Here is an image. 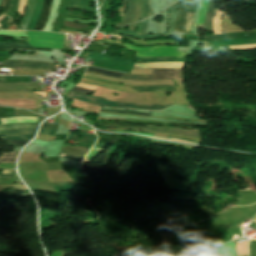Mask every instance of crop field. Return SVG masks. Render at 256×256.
I'll return each mask as SVG.
<instances>
[{
    "label": "crop field",
    "instance_id": "8a807250",
    "mask_svg": "<svg viewBox=\"0 0 256 256\" xmlns=\"http://www.w3.org/2000/svg\"><path fill=\"white\" fill-rule=\"evenodd\" d=\"M69 97L76 98L82 101H86L93 104H99L106 107H119V108H133V109H149V110H161L170 105H148V104H131V103H114L102 100L100 98L80 95L70 92Z\"/></svg>",
    "mask_w": 256,
    "mask_h": 256
},
{
    "label": "crop field",
    "instance_id": "ac0d7876",
    "mask_svg": "<svg viewBox=\"0 0 256 256\" xmlns=\"http://www.w3.org/2000/svg\"><path fill=\"white\" fill-rule=\"evenodd\" d=\"M29 38H40L47 40H54L63 42L64 36L56 33H46V32H26ZM47 40H39V39H29L28 42L31 46L35 47H43V48H60L62 49L63 43L53 42Z\"/></svg>",
    "mask_w": 256,
    "mask_h": 256
},
{
    "label": "crop field",
    "instance_id": "34b2d1b8",
    "mask_svg": "<svg viewBox=\"0 0 256 256\" xmlns=\"http://www.w3.org/2000/svg\"><path fill=\"white\" fill-rule=\"evenodd\" d=\"M50 5H51V0H44V6H43V0H36L35 1V7H34V11L30 20V24L28 27V30H33L40 15L42 12V6H43V12H42V16L35 28V30H41L45 20L49 14V10H50Z\"/></svg>",
    "mask_w": 256,
    "mask_h": 256
},
{
    "label": "crop field",
    "instance_id": "412701ff",
    "mask_svg": "<svg viewBox=\"0 0 256 256\" xmlns=\"http://www.w3.org/2000/svg\"><path fill=\"white\" fill-rule=\"evenodd\" d=\"M5 67H30L51 70L54 69L55 64L42 62H25V61H7Z\"/></svg>",
    "mask_w": 256,
    "mask_h": 256
},
{
    "label": "crop field",
    "instance_id": "f4fd0767",
    "mask_svg": "<svg viewBox=\"0 0 256 256\" xmlns=\"http://www.w3.org/2000/svg\"><path fill=\"white\" fill-rule=\"evenodd\" d=\"M148 20H149V18L142 21V22H139L136 33H133V32H130V31H124V30H117L115 33L127 34L129 36L140 38V39H152V38H157V37L163 36L162 34L144 35L145 34V28H146V25L148 23Z\"/></svg>",
    "mask_w": 256,
    "mask_h": 256
},
{
    "label": "crop field",
    "instance_id": "dd49c442",
    "mask_svg": "<svg viewBox=\"0 0 256 256\" xmlns=\"http://www.w3.org/2000/svg\"><path fill=\"white\" fill-rule=\"evenodd\" d=\"M90 72H96V73H101L107 76H113V77H122V73L119 72H113V71H107L103 69H98V68H92L90 67L89 70ZM122 79H136V80H146V79H151V75H127L124 74Z\"/></svg>",
    "mask_w": 256,
    "mask_h": 256
},
{
    "label": "crop field",
    "instance_id": "e52e79f7",
    "mask_svg": "<svg viewBox=\"0 0 256 256\" xmlns=\"http://www.w3.org/2000/svg\"><path fill=\"white\" fill-rule=\"evenodd\" d=\"M89 58L133 67V61H131V60H125V59H121V58L105 56V55L94 53V52L90 53Z\"/></svg>",
    "mask_w": 256,
    "mask_h": 256
},
{
    "label": "crop field",
    "instance_id": "d8731c3e",
    "mask_svg": "<svg viewBox=\"0 0 256 256\" xmlns=\"http://www.w3.org/2000/svg\"><path fill=\"white\" fill-rule=\"evenodd\" d=\"M180 69H152V79L179 78Z\"/></svg>",
    "mask_w": 256,
    "mask_h": 256
},
{
    "label": "crop field",
    "instance_id": "5a996713",
    "mask_svg": "<svg viewBox=\"0 0 256 256\" xmlns=\"http://www.w3.org/2000/svg\"><path fill=\"white\" fill-rule=\"evenodd\" d=\"M176 5L178 7V15L176 20L175 33H183V21L185 15V6L183 0H179Z\"/></svg>",
    "mask_w": 256,
    "mask_h": 256
},
{
    "label": "crop field",
    "instance_id": "3316defc",
    "mask_svg": "<svg viewBox=\"0 0 256 256\" xmlns=\"http://www.w3.org/2000/svg\"><path fill=\"white\" fill-rule=\"evenodd\" d=\"M88 148L81 147V146H71V147H63L62 153H67L70 155L82 156L84 157L85 154L88 152Z\"/></svg>",
    "mask_w": 256,
    "mask_h": 256
},
{
    "label": "crop field",
    "instance_id": "28ad6ade",
    "mask_svg": "<svg viewBox=\"0 0 256 256\" xmlns=\"http://www.w3.org/2000/svg\"><path fill=\"white\" fill-rule=\"evenodd\" d=\"M186 58L177 57H156V58H136L135 61L139 62H166V61H179L185 62Z\"/></svg>",
    "mask_w": 256,
    "mask_h": 256
},
{
    "label": "crop field",
    "instance_id": "d1516ede",
    "mask_svg": "<svg viewBox=\"0 0 256 256\" xmlns=\"http://www.w3.org/2000/svg\"><path fill=\"white\" fill-rule=\"evenodd\" d=\"M215 11V0H209V9L207 12L204 29L213 30L212 19Z\"/></svg>",
    "mask_w": 256,
    "mask_h": 256
},
{
    "label": "crop field",
    "instance_id": "22f410ed",
    "mask_svg": "<svg viewBox=\"0 0 256 256\" xmlns=\"http://www.w3.org/2000/svg\"><path fill=\"white\" fill-rule=\"evenodd\" d=\"M184 63L178 62H166V63H151V64H141L135 63V65H141L140 68L146 67H170V68H182Z\"/></svg>",
    "mask_w": 256,
    "mask_h": 256
},
{
    "label": "crop field",
    "instance_id": "cbeb9de0",
    "mask_svg": "<svg viewBox=\"0 0 256 256\" xmlns=\"http://www.w3.org/2000/svg\"><path fill=\"white\" fill-rule=\"evenodd\" d=\"M177 9L176 5H172L169 7V26H168V33H174V25L176 19Z\"/></svg>",
    "mask_w": 256,
    "mask_h": 256
},
{
    "label": "crop field",
    "instance_id": "5142ce71",
    "mask_svg": "<svg viewBox=\"0 0 256 256\" xmlns=\"http://www.w3.org/2000/svg\"><path fill=\"white\" fill-rule=\"evenodd\" d=\"M138 91H174L175 86L134 87Z\"/></svg>",
    "mask_w": 256,
    "mask_h": 256
},
{
    "label": "crop field",
    "instance_id": "d9b57169",
    "mask_svg": "<svg viewBox=\"0 0 256 256\" xmlns=\"http://www.w3.org/2000/svg\"><path fill=\"white\" fill-rule=\"evenodd\" d=\"M33 4H34V0H28L25 17H24L23 24H22L20 30H25L26 29L27 24L29 22L31 14H32Z\"/></svg>",
    "mask_w": 256,
    "mask_h": 256
},
{
    "label": "crop field",
    "instance_id": "733c2abd",
    "mask_svg": "<svg viewBox=\"0 0 256 256\" xmlns=\"http://www.w3.org/2000/svg\"><path fill=\"white\" fill-rule=\"evenodd\" d=\"M37 117H16L9 119H1L3 124L19 123V122H36Z\"/></svg>",
    "mask_w": 256,
    "mask_h": 256
},
{
    "label": "crop field",
    "instance_id": "4a817a6b",
    "mask_svg": "<svg viewBox=\"0 0 256 256\" xmlns=\"http://www.w3.org/2000/svg\"><path fill=\"white\" fill-rule=\"evenodd\" d=\"M69 9H80L87 11V0H70Z\"/></svg>",
    "mask_w": 256,
    "mask_h": 256
},
{
    "label": "crop field",
    "instance_id": "bc2a9ffb",
    "mask_svg": "<svg viewBox=\"0 0 256 256\" xmlns=\"http://www.w3.org/2000/svg\"><path fill=\"white\" fill-rule=\"evenodd\" d=\"M126 1L128 3V9H127V12H126L120 26L127 25L129 23L131 16L133 14V10H134L132 0H126Z\"/></svg>",
    "mask_w": 256,
    "mask_h": 256
},
{
    "label": "crop field",
    "instance_id": "214f88e0",
    "mask_svg": "<svg viewBox=\"0 0 256 256\" xmlns=\"http://www.w3.org/2000/svg\"><path fill=\"white\" fill-rule=\"evenodd\" d=\"M38 124H11L0 125V130L16 129V128H36Z\"/></svg>",
    "mask_w": 256,
    "mask_h": 256
},
{
    "label": "crop field",
    "instance_id": "92a150f3",
    "mask_svg": "<svg viewBox=\"0 0 256 256\" xmlns=\"http://www.w3.org/2000/svg\"><path fill=\"white\" fill-rule=\"evenodd\" d=\"M76 87H81V88H87V89H92L95 90L97 86H90L87 84H83V83H79L76 85ZM73 87L72 91L74 92H78V93H82V94H88L90 92H92V90H87V89H81V88H76ZM98 88V87H97Z\"/></svg>",
    "mask_w": 256,
    "mask_h": 256
},
{
    "label": "crop field",
    "instance_id": "dafd665d",
    "mask_svg": "<svg viewBox=\"0 0 256 256\" xmlns=\"http://www.w3.org/2000/svg\"><path fill=\"white\" fill-rule=\"evenodd\" d=\"M35 129H19L11 131H1L0 136L2 135H16V134H33Z\"/></svg>",
    "mask_w": 256,
    "mask_h": 256
},
{
    "label": "crop field",
    "instance_id": "00972430",
    "mask_svg": "<svg viewBox=\"0 0 256 256\" xmlns=\"http://www.w3.org/2000/svg\"><path fill=\"white\" fill-rule=\"evenodd\" d=\"M31 77H5L0 76V82H30Z\"/></svg>",
    "mask_w": 256,
    "mask_h": 256
},
{
    "label": "crop field",
    "instance_id": "a9b5d70f",
    "mask_svg": "<svg viewBox=\"0 0 256 256\" xmlns=\"http://www.w3.org/2000/svg\"><path fill=\"white\" fill-rule=\"evenodd\" d=\"M221 15H222V12H216V15L214 17V20H213V25H214V34H218V33H222V30H221Z\"/></svg>",
    "mask_w": 256,
    "mask_h": 256
},
{
    "label": "crop field",
    "instance_id": "4177f3b9",
    "mask_svg": "<svg viewBox=\"0 0 256 256\" xmlns=\"http://www.w3.org/2000/svg\"><path fill=\"white\" fill-rule=\"evenodd\" d=\"M194 13L186 12L185 18V33H191L190 27L193 25Z\"/></svg>",
    "mask_w": 256,
    "mask_h": 256
},
{
    "label": "crop field",
    "instance_id": "730fd06b",
    "mask_svg": "<svg viewBox=\"0 0 256 256\" xmlns=\"http://www.w3.org/2000/svg\"><path fill=\"white\" fill-rule=\"evenodd\" d=\"M17 154L18 152H11V153L5 154L0 158V163L15 162Z\"/></svg>",
    "mask_w": 256,
    "mask_h": 256
},
{
    "label": "crop field",
    "instance_id": "eef30255",
    "mask_svg": "<svg viewBox=\"0 0 256 256\" xmlns=\"http://www.w3.org/2000/svg\"><path fill=\"white\" fill-rule=\"evenodd\" d=\"M142 1H143V10H142L141 20L149 17L150 14L152 13L149 7V0H142Z\"/></svg>",
    "mask_w": 256,
    "mask_h": 256
},
{
    "label": "crop field",
    "instance_id": "ae1a2a85",
    "mask_svg": "<svg viewBox=\"0 0 256 256\" xmlns=\"http://www.w3.org/2000/svg\"><path fill=\"white\" fill-rule=\"evenodd\" d=\"M0 35L4 36H19V37H26L25 32L20 31H0Z\"/></svg>",
    "mask_w": 256,
    "mask_h": 256
},
{
    "label": "crop field",
    "instance_id": "d3111659",
    "mask_svg": "<svg viewBox=\"0 0 256 256\" xmlns=\"http://www.w3.org/2000/svg\"><path fill=\"white\" fill-rule=\"evenodd\" d=\"M0 46L31 47L28 45V43H18V42H0Z\"/></svg>",
    "mask_w": 256,
    "mask_h": 256
},
{
    "label": "crop field",
    "instance_id": "750c4746",
    "mask_svg": "<svg viewBox=\"0 0 256 256\" xmlns=\"http://www.w3.org/2000/svg\"><path fill=\"white\" fill-rule=\"evenodd\" d=\"M33 135H17V136H7V137H1L5 140H11V139H30Z\"/></svg>",
    "mask_w": 256,
    "mask_h": 256
},
{
    "label": "crop field",
    "instance_id": "bd1437ed",
    "mask_svg": "<svg viewBox=\"0 0 256 256\" xmlns=\"http://www.w3.org/2000/svg\"><path fill=\"white\" fill-rule=\"evenodd\" d=\"M17 4H18V0H12L11 8L8 12V15L11 17V19L15 15Z\"/></svg>",
    "mask_w": 256,
    "mask_h": 256
},
{
    "label": "crop field",
    "instance_id": "1d83c4d3",
    "mask_svg": "<svg viewBox=\"0 0 256 256\" xmlns=\"http://www.w3.org/2000/svg\"><path fill=\"white\" fill-rule=\"evenodd\" d=\"M15 170H6L0 173V178H12L14 175Z\"/></svg>",
    "mask_w": 256,
    "mask_h": 256
},
{
    "label": "crop field",
    "instance_id": "120bbe31",
    "mask_svg": "<svg viewBox=\"0 0 256 256\" xmlns=\"http://www.w3.org/2000/svg\"><path fill=\"white\" fill-rule=\"evenodd\" d=\"M25 191L23 190H10V191H4V192H0V196H4L7 194L13 195V194H23Z\"/></svg>",
    "mask_w": 256,
    "mask_h": 256
},
{
    "label": "crop field",
    "instance_id": "d32e631a",
    "mask_svg": "<svg viewBox=\"0 0 256 256\" xmlns=\"http://www.w3.org/2000/svg\"><path fill=\"white\" fill-rule=\"evenodd\" d=\"M24 7H25V0H19L17 11L20 13V16L23 15Z\"/></svg>",
    "mask_w": 256,
    "mask_h": 256
},
{
    "label": "crop field",
    "instance_id": "5866460e",
    "mask_svg": "<svg viewBox=\"0 0 256 256\" xmlns=\"http://www.w3.org/2000/svg\"><path fill=\"white\" fill-rule=\"evenodd\" d=\"M28 141H29V140H27V141H18V140H15V141H9L8 143H9L10 145H12V146H21V145H25Z\"/></svg>",
    "mask_w": 256,
    "mask_h": 256
},
{
    "label": "crop field",
    "instance_id": "028f5c9d",
    "mask_svg": "<svg viewBox=\"0 0 256 256\" xmlns=\"http://www.w3.org/2000/svg\"><path fill=\"white\" fill-rule=\"evenodd\" d=\"M6 48H19V47H0V51H6ZM19 49L47 50V51H51V49H41V48H19Z\"/></svg>",
    "mask_w": 256,
    "mask_h": 256
},
{
    "label": "crop field",
    "instance_id": "e1f06a70",
    "mask_svg": "<svg viewBox=\"0 0 256 256\" xmlns=\"http://www.w3.org/2000/svg\"><path fill=\"white\" fill-rule=\"evenodd\" d=\"M58 124H47L44 123L41 128L57 130Z\"/></svg>",
    "mask_w": 256,
    "mask_h": 256
},
{
    "label": "crop field",
    "instance_id": "0bd39190",
    "mask_svg": "<svg viewBox=\"0 0 256 256\" xmlns=\"http://www.w3.org/2000/svg\"><path fill=\"white\" fill-rule=\"evenodd\" d=\"M73 23V22H72ZM72 23H69V22H65V26H68V27H72V28H76V29H80V28H83L85 27V25H81V24H72Z\"/></svg>",
    "mask_w": 256,
    "mask_h": 256
},
{
    "label": "crop field",
    "instance_id": "b80d0937",
    "mask_svg": "<svg viewBox=\"0 0 256 256\" xmlns=\"http://www.w3.org/2000/svg\"><path fill=\"white\" fill-rule=\"evenodd\" d=\"M253 46H256V44L229 46V48H253Z\"/></svg>",
    "mask_w": 256,
    "mask_h": 256
},
{
    "label": "crop field",
    "instance_id": "c035e120",
    "mask_svg": "<svg viewBox=\"0 0 256 256\" xmlns=\"http://www.w3.org/2000/svg\"><path fill=\"white\" fill-rule=\"evenodd\" d=\"M81 137L88 138V139H94L96 140L97 137L95 135L87 134V133H81Z\"/></svg>",
    "mask_w": 256,
    "mask_h": 256
},
{
    "label": "crop field",
    "instance_id": "c21b1889",
    "mask_svg": "<svg viewBox=\"0 0 256 256\" xmlns=\"http://www.w3.org/2000/svg\"><path fill=\"white\" fill-rule=\"evenodd\" d=\"M61 156L69 158V159H73V160H76V161H80V162H82V160H83V158H81V157H75V156H70V155H62V154H61Z\"/></svg>",
    "mask_w": 256,
    "mask_h": 256
},
{
    "label": "crop field",
    "instance_id": "03da06ac",
    "mask_svg": "<svg viewBox=\"0 0 256 256\" xmlns=\"http://www.w3.org/2000/svg\"><path fill=\"white\" fill-rule=\"evenodd\" d=\"M9 22L10 21L8 20V17L6 16V18L4 19L0 29H8V23Z\"/></svg>",
    "mask_w": 256,
    "mask_h": 256
},
{
    "label": "crop field",
    "instance_id": "b54c1fbb",
    "mask_svg": "<svg viewBox=\"0 0 256 256\" xmlns=\"http://www.w3.org/2000/svg\"><path fill=\"white\" fill-rule=\"evenodd\" d=\"M103 110V109H101ZM104 111H110V112H118V113H134V114H146V115H150L147 113H138V112H131V111H113V110H104Z\"/></svg>",
    "mask_w": 256,
    "mask_h": 256
},
{
    "label": "crop field",
    "instance_id": "5d738f31",
    "mask_svg": "<svg viewBox=\"0 0 256 256\" xmlns=\"http://www.w3.org/2000/svg\"><path fill=\"white\" fill-rule=\"evenodd\" d=\"M56 131L52 130H41L39 134L55 135Z\"/></svg>",
    "mask_w": 256,
    "mask_h": 256
},
{
    "label": "crop field",
    "instance_id": "d23c7cc5",
    "mask_svg": "<svg viewBox=\"0 0 256 256\" xmlns=\"http://www.w3.org/2000/svg\"><path fill=\"white\" fill-rule=\"evenodd\" d=\"M10 0H3L2 6L1 7H5V11L4 13H7V8L9 6Z\"/></svg>",
    "mask_w": 256,
    "mask_h": 256
},
{
    "label": "crop field",
    "instance_id": "425ffa30",
    "mask_svg": "<svg viewBox=\"0 0 256 256\" xmlns=\"http://www.w3.org/2000/svg\"><path fill=\"white\" fill-rule=\"evenodd\" d=\"M129 136H134V135H129ZM138 137V136H137ZM145 138V137H144ZM150 139V138H149ZM153 140H156V139H153ZM157 141H161V140H157ZM161 142H164V143H168V144H173V145H178V146H183V145H180V144H176V143H171V142H166V141H161ZM185 147V146H183Z\"/></svg>",
    "mask_w": 256,
    "mask_h": 256
},
{
    "label": "crop field",
    "instance_id": "25e5ab78",
    "mask_svg": "<svg viewBox=\"0 0 256 256\" xmlns=\"http://www.w3.org/2000/svg\"><path fill=\"white\" fill-rule=\"evenodd\" d=\"M114 125H128V126H136V127H145L146 125H129V124H120V123H114Z\"/></svg>",
    "mask_w": 256,
    "mask_h": 256
},
{
    "label": "crop field",
    "instance_id": "73cf0c24",
    "mask_svg": "<svg viewBox=\"0 0 256 256\" xmlns=\"http://www.w3.org/2000/svg\"><path fill=\"white\" fill-rule=\"evenodd\" d=\"M195 5H197L199 0H191Z\"/></svg>",
    "mask_w": 256,
    "mask_h": 256
},
{
    "label": "crop field",
    "instance_id": "89e229c0",
    "mask_svg": "<svg viewBox=\"0 0 256 256\" xmlns=\"http://www.w3.org/2000/svg\"><path fill=\"white\" fill-rule=\"evenodd\" d=\"M172 139V138H171ZM178 139H180V138H178ZM173 140H177V139H173ZM182 140H186V139H182ZM177 141H181V140H177ZM187 141H191V140H187ZM186 142V141H185ZM193 142H195V141H193ZM200 143V142H199Z\"/></svg>",
    "mask_w": 256,
    "mask_h": 256
},
{
    "label": "crop field",
    "instance_id": "1f2cbd36",
    "mask_svg": "<svg viewBox=\"0 0 256 256\" xmlns=\"http://www.w3.org/2000/svg\"><path fill=\"white\" fill-rule=\"evenodd\" d=\"M118 132H128V131H118ZM132 133H134V132H132ZM140 134V133H139ZM145 135H149V134H145ZM151 136H153V135H151Z\"/></svg>",
    "mask_w": 256,
    "mask_h": 256
},
{
    "label": "crop field",
    "instance_id": "dbb93151",
    "mask_svg": "<svg viewBox=\"0 0 256 256\" xmlns=\"http://www.w3.org/2000/svg\"><path fill=\"white\" fill-rule=\"evenodd\" d=\"M0 124H2V123H1V120H0Z\"/></svg>",
    "mask_w": 256,
    "mask_h": 256
},
{
    "label": "crop field",
    "instance_id": "0fb4a251",
    "mask_svg": "<svg viewBox=\"0 0 256 256\" xmlns=\"http://www.w3.org/2000/svg\"><path fill=\"white\" fill-rule=\"evenodd\" d=\"M112 135H115V134H112Z\"/></svg>",
    "mask_w": 256,
    "mask_h": 256
}]
</instances>
